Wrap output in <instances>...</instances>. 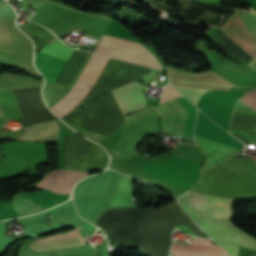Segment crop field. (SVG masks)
Listing matches in <instances>:
<instances>
[{
  "label": "crop field",
  "mask_w": 256,
  "mask_h": 256,
  "mask_svg": "<svg viewBox=\"0 0 256 256\" xmlns=\"http://www.w3.org/2000/svg\"><path fill=\"white\" fill-rule=\"evenodd\" d=\"M94 52L163 70L154 55L137 42L103 34Z\"/></svg>",
  "instance_id": "obj_6"
},
{
  "label": "crop field",
  "mask_w": 256,
  "mask_h": 256,
  "mask_svg": "<svg viewBox=\"0 0 256 256\" xmlns=\"http://www.w3.org/2000/svg\"><path fill=\"white\" fill-rule=\"evenodd\" d=\"M3 114H2V112H1V110H0V116H2Z\"/></svg>",
  "instance_id": "obj_22"
},
{
  "label": "crop field",
  "mask_w": 256,
  "mask_h": 256,
  "mask_svg": "<svg viewBox=\"0 0 256 256\" xmlns=\"http://www.w3.org/2000/svg\"><path fill=\"white\" fill-rule=\"evenodd\" d=\"M172 84L183 86V87H193V88H208V89H221V90H229L230 87H218V86H209V85H201V84H189L185 82H178L175 80H170ZM175 86L180 92H182L189 100H191L195 105L198 98L204 93L208 92V89H193V88H183Z\"/></svg>",
  "instance_id": "obj_16"
},
{
  "label": "crop field",
  "mask_w": 256,
  "mask_h": 256,
  "mask_svg": "<svg viewBox=\"0 0 256 256\" xmlns=\"http://www.w3.org/2000/svg\"><path fill=\"white\" fill-rule=\"evenodd\" d=\"M243 103L256 111V90L249 92L240 99Z\"/></svg>",
  "instance_id": "obj_19"
},
{
  "label": "crop field",
  "mask_w": 256,
  "mask_h": 256,
  "mask_svg": "<svg viewBox=\"0 0 256 256\" xmlns=\"http://www.w3.org/2000/svg\"><path fill=\"white\" fill-rule=\"evenodd\" d=\"M167 76H169V78H175L186 82H201L234 86V84L230 83L212 71L203 74H190L167 68Z\"/></svg>",
  "instance_id": "obj_15"
},
{
  "label": "crop field",
  "mask_w": 256,
  "mask_h": 256,
  "mask_svg": "<svg viewBox=\"0 0 256 256\" xmlns=\"http://www.w3.org/2000/svg\"><path fill=\"white\" fill-rule=\"evenodd\" d=\"M84 244L76 231H71L56 236L43 238L30 242V249L42 252Z\"/></svg>",
  "instance_id": "obj_13"
},
{
  "label": "crop field",
  "mask_w": 256,
  "mask_h": 256,
  "mask_svg": "<svg viewBox=\"0 0 256 256\" xmlns=\"http://www.w3.org/2000/svg\"><path fill=\"white\" fill-rule=\"evenodd\" d=\"M180 225H186L194 235L209 238L192 223L176 201L163 208L144 210V216L136 220L139 251L146 256L167 254L173 226Z\"/></svg>",
  "instance_id": "obj_2"
},
{
  "label": "crop field",
  "mask_w": 256,
  "mask_h": 256,
  "mask_svg": "<svg viewBox=\"0 0 256 256\" xmlns=\"http://www.w3.org/2000/svg\"><path fill=\"white\" fill-rule=\"evenodd\" d=\"M109 61V58L91 54L80 76L65 96L52 108L58 117L63 116L75 108L88 94L97 77Z\"/></svg>",
  "instance_id": "obj_4"
},
{
  "label": "crop field",
  "mask_w": 256,
  "mask_h": 256,
  "mask_svg": "<svg viewBox=\"0 0 256 256\" xmlns=\"http://www.w3.org/2000/svg\"><path fill=\"white\" fill-rule=\"evenodd\" d=\"M217 243L222 245L227 250V252L230 254V256L236 255L238 252V249H239L238 246H233L230 244H225V243H220V242H217Z\"/></svg>",
  "instance_id": "obj_20"
},
{
  "label": "crop field",
  "mask_w": 256,
  "mask_h": 256,
  "mask_svg": "<svg viewBox=\"0 0 256 256\" xmlns=\"http://www.w3.org/2000/svg\"><path fill=\"white\" fill-rule=\"evenodd\" d=\"M73 50L57 39L52 44L45 45L35 55V65L46 80L55 83Z\"/></svg>",
  "instance_id": "obj_7"
},
{
  "label": "crop field",
  "mask_w": 256,
  "mask_h": 256,
  "mask_svg": "<svg viewBox=\"0 0 256 256\" xmlns=\"http://www.w3.org/2000/svg\"><path fill=\"white\" fill-rule=\"evenodd\" d=\"M20 194H17L13 200V207L18 211L19 215L42 210V208L37 204L33 203Z\"/></svg>",
  "instance_id": "obj_17"
},
{
  "label": "crop field",
  "mask_w": 256,
  "mask_h": 256,
  "mask_svg": "<svg viewBox=\"0 0 256 256\" xmlns=\"http://www.w3.org/2000/svg\"><path fill=\"white\" fill-rule=\"evenodd\" d=\"M0 159V178L13 177L47 160L44 143L9 142Z\"/></svg>",
  "instance_id": "obj_3"
},
{
  "label": "crop field",
  "mask_w": 256,
  "mask_h": 256,
  "mask_svg": "<svg viewBox=\"0 0 256 256\" xmlns=\"http://www.w3.org/2000/svg\"><path fill=\"white\" fill-rule=\"evenodd\" d=\"M255 174H256V172H255Z\"/></svg>",
  "instance_id": "obj_23"
},
{
  "label": "crop field",
  "mask_w": 256,
  "mask_h": 256,
  "mask_svg": "<svg viewBox=\"0 0 256 256\" xmlns=\"http://www.w3.org/2000/svg\"><path fill=\"white\" fill-rule=\"evenodd\" d=\"M166 103L177 113V117L176 113ZM166 103L158 107L146 106L137 112L126 115V124L161 116L162 129L172 135L176 117L173 135L184 137V128L188 118L187 109L175 99L169 100Z\"/></svg>",
  "instance_id": "obj_5"
},
{
  "label": "crop field",
  "mask_w": 256,
  "mask_h": 256,
  "mask_svg": "<svg viewBox=\"0 0 256 256\" xmlns=\"http://www.w3.org/2000/svg\"><path fill=\"white\" fill-rule=\"evenodd\" d=\"M211 241L194 238L190 244L173 243V256H227L219 246H213Z\"/></svg>",
  "instance_id": "obj_12"
},
{
  "label": "crop field",
  "mask_w": 256,
  "mask_h": 256,
  "mask_svg": "<svg viewBox=\"0 0 256 256\" xmlns=\"http://www.w3.org/2000/svg\"><path fill=\"white\" fill-rule=\"evenodd\" d=\"M250 67H251V69L256 70V60Z\"/></svg>",
  "instance_id": "obj_21"
},
{
  "label": "crop field",
  "mask_w": 256,
  "mask_h": 256,
  "mask_svg": "<svg viewBox=\"0 0 256 256\" xmlns=\"http://www.w3.org/2000/svg\"><path fill=\"white\" fill-rule=\"evenodd\" d=\"M86 175H88V173L80 171L55 170L48 173L44 179L35 186L43 187L56 193L70 194L72 186Z\"/></svg>",
  "instance_id": "obj_10"
},
{
  "label": "crop field",
  "mask_w": 256,
  "mask_h": 256,
  "mask_svg": "<svg viewBox=\"0 0 256 256\" xmlns=\"http://www.w3.org/2000/svg\"><path fill=\"white\" fill-rule=\"evenodd\" d=\"M13 93L24 125L55 118L43 103L40 88L15 90Z\"/></svg>",
  "instance_id": "obj_8"
},
{
  "label": "crop field",
  "mask_w": 256,
  "mask_h": 256,
  "mask_svg": "<svg viewBox=\"0 0 256 256\" xmlns=\"http://www.w3.org/2000/svg\"><path fill=\"white\" fill-rule=\"evenodd\" d=\"M144 89H147V87L138 83H130L111 93L123 114H126L137 110L146 104L145 98H143L144 93L142 97L141 92Z\"/></svg>",
  "instance_id": "obj_11"
},
{
  "label": "crop field",
  "mask_w": 256,
  "mask_h": 256,
  "mask_svg": "<svg viewBox=\"0 0 256 256\" xmlns=\"http://www.w3.org/2000/svg\"><path fill=\"white\" fill-rule=\"evenodd\" d=\"M180 96H182V95H180L178 92H176V90H174L171 85H167L162 94L160 104L171 99V98L180 97Z\"/></svg>",
  "instance_id": "obj_18"
},
{
  "label": "crop field",
  "mask_w": 256,
  "mask_h": 256,
  "mask_svg": "<svg viewBox=\"0 0 256 256\" xmlns=\"http://www.w3.org/2000/svg\"><path fill=\"white\" fill-rule=\"evenodd\" d=\"M219 28L253 58L250 65L256 59V36L246 27L236 10L235 14Z\"/></svg>",
  "instance_id": "obj_9"
},
{
  "label": "crop field",
  "mask_w": 256,
  "mask_h": 256,
  "mask_svg": "<svg viewBox=\"0 0 256 256\" xmlns=\"http://www.w3.org/2000/svg\"><path fill=\"white\" fill-rule=\"evenodd\" d=\"M178 200L197 225L211 237L256 250V240L231 224L229 199L186 193Z\"/></svg>",
  "instance_id": "obj_1"
},
{
  "label": "crop field",
  "mask_w": 256,
  "mask_h": 256,
  "mask_svg": "<svg viewBox=\"0 0 256 256\" xmlns=\"http://www.w3.org/2000/svg\"><path fill=\"white\" fill-rule=\"evenodd\" d=\"M195 143L202 149V151L207 155L202 168L212 167L218 162L228 158L229 156L240 152L241 150L231 148L225 145H221L204 138L195 136Z\"/></svg>",
  "instance_id": "obj_14"
}]
</instances>
